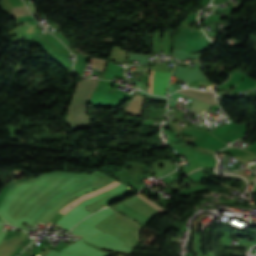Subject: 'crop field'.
I'll list each match as a JSON object with an SVG mask.
<instances>
[{
    "instance_id": "1",
    "label": "crop field",
    "mask_w": 256,
    "mask_h": 256,
    "mask_svg": "<svg viewBox=\"0 0 256 256\" xmlns=\"http://www.w3.org/2000/svg\"><path fill=\"white\" fill-rule=\"evenodd\" d=\"M169 77H170V74L168 73H161V72L154 71V79H153V71H150L149 92L152 93V79H153V93L159 94V95H165Z\"/></svg>"
},
{
    "instance_id": "2",
    "label": "crop field",
    "mask_w": 256,
    "mask_h": 256,
    "mask_svg": "<svg viewBox=\"0 0 256 256\" xmlns=\"http://www.w3.org/2000/svg\"><path fill=\"white\" fill-rule=\"evenodd\" d=\"M119 184H120V182L114 181V182H112V183L106 185L105 187H103V188H101V189H99V190H96V191L87 193V194L81 196L80 198L74 200V201L71 202L70 204L64 206V207L59 211V213H61V214L64 215V214H66L71 208H73L74 206L78 205L81 201H83V200H85V199H87V198H90V197H92V196H95V195H97V194H99V193H101V192L107 191V190H109V189H111V188H113V187H115V186H117V185H119Z\"/></svg>"
},
{
    "instance_id": "3",
    "label": "crop field",
    "mask_w": 256,
    "mask_h": 256,
    "mask_svg": "<svg viewBox=\"0 0 256 256\" xmlns=\"http://www.w3.org/2000/svg\"><path fill=\"white\" fill-rule=\"evenodd\" d=\"M139 198H141L142 200H144L145 202H147L148 204L152 205L153 207H155L157 210H159L160 212H162L163 208H160L159 206H157L155 203H153L151 200L147 199L143 194H141L140 192L136 194Z\"/></svg>"
},
{
    "instance_id": "4",
    "label": "crop field",
    "mask_w": 256,
    "mask_h": 256,
    "mask_svg": "<svg viewBox=\"0 0 256 256\" xmlns=\"http://www.w3.org/2000/svg\"><path fill=\"white\" fill-rule=\"evenodd\" d=\"M96 227V226H95ZM98 228V227H97ZM100 229V228H99ZM102 230V229H101ZM104 231V230H103ZM106 232V231H105Z\"/></svg>"
},
{
    "instance_id": "5",
    "label": "crop field",
    "mask_w": 256,
    "mask_h": 256,
    "mask_svg": "<svg viewBox=\"0 0 256 256\" xmlns=\"http://www.w3.org/2000/svg\"><path fill=\"white\" fill-rule=\"evenodd\" d=\"M46 33H44L43 35H45Z\"/></svg>"
}]
</instances>
